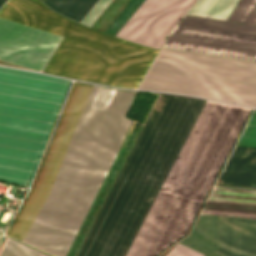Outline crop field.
Wrapping results in <instances>:
<instances>
[{"label": "crop field", "instance_id": "8a807250", "mask_svg": "<svg viewBox=\"0 0 256 256\" xmlns=\"http://www.w3.org/2000/svg\"><path fill=\"white\" fill-rule=\"evenodd\" d=\"M205 100L158 97L76 256H124ZM250 108L205 101L125 256L189 231Z\"/></svg>", "mask_w": 256, "mask_h": 256}, {"label": "crop field", "instance_id": "e52e79f7", "mask_svg": "<svg viewBox=\"0 0 256 256\" xmlns=\"http://www.w3.org/2000/svg\"><path fill=\"white\" fill-rule=\"evenodd\" d=\"M218 217L200 215L193 231L179 243L216 256ZM217 256H256V220L219 217Z\"/></svg>", "mask_w": 256, "mask_h": 256}, {"label": "crop field", "instance_id": "bc2a9ffb", "mask_svg": "<svg viewBox=\"0 0 256 256\" xmlns=\"http://www.w3.org/2000/svg\"><path fill=\"white\" fill-rule=\"evenodd\" d=\"M6 0H1L0 1V7L2 6V4L5 2Z\"/></svg>", "mask_w": 256, "mask_h": 256}, {"label": "crop field", "instance_id": "4a817a6b", "mask_svg": "<svg viewBox=\"0 0 256 256\" xmlns=\"http://www.w3.org/2000/svg\"><path fill=\"white\" fill-rule=\"evenodd\" d=\"M166 256H204L177 244Z\"/></svg>", "mask_w": 256, "mask_h": 256}, {"label": "crop field", "instance_id": "3316defc", "mask_svg": "<svg viewBox=\"0 0 256 256\" xmlns=\"http://www.w3.org/2000/svg\"><path fill=\"white\" fill-rule=\"evenodd\" d=\"M202 213L256 218V191L213 189Z\"/></svg>", "mask_w": 256, "mask_h": 256}, {"label": "crop field", "instance_id": "214f88e0", "mask_svg": "<svg viewBox=\"0 0 256 256\" xmlns=\"http://www.w3.org/2000/svg\"><path fill=\"white\" fill-rule=\"evenodd\" d=\"M1 235V234H0ZM2 236V235H1Z\"/></svg>", "mask_w": 256, "mask_h": 256}, {"label": "crop field", "instance_id": "5a996713", "mask_svg": "<svg viewBox=\"0 0 256 256\" xmlns=\"http://www.w3.org/2000/svg\"><path fill=\"white\" fill-rule=\"evenodd\" d=\"M62 36L0 19V60L43 71Z\"/></svg>", "mask_w": 256, "mask_h": 256}, {"label": "crop field", "instance_id": "5142ce71", "mask_svg": "<svg viewBox=\"0 0 256 256\" xmlns=\"http://www.w3.org/2000/svg\"><path fill=\"white\" fill-rule=\"evenodd\" d=\"M38 252L23 246L17 242L7 239L0 256H36ZM37 256H46L38 253Z\"/></svg>", "mask_w": 256, "mask_h": 256}, {"label": "crop field", "instance_id": "28ad6ade", "mask_svg": "<svg viewBox=\"0 0 256 256\" xmlns=\"http://www.w3.org/2000/svg\"><path fill=\"white\" fill-rule=\"evenodd\" d=\"M216 185L256 186V148L236 146Z\"/></svg>", "mask_w": 256, "mask_h": 256}, {"label": "crop field", "instance_id": "f4fd0767", "mask_svg": "<svg viewBox=\"0 0 256 256\" xmlns=\"http://www.w3.org/2000/svg\"><path fill=\"white\" fill-rule=\"evenodd\" d=\"M139 89L256 106V62L162 48Z\"/></svg>", "mask_w": 256, "mask_h": 256}, {"label": "crop field", "instance_id": "733c2abd", "mask_svg": "<svg viewBox=\"0 0 256 256\" xmlns=\"http://www.w3.org/2000/svg\"><path fill=\"white\" fill-rule=\"evenodd\" d=\"M111 1L112 0H100L81 23L90 27Z\"/></svg>", "mask_w": 256, "mask_h": 256}, {"label": "crop field", "instance_id": "22f410ed", "mask_svg": "<svg viewBox=\"0 0 256 256\" xmlns=\"http://www.w3.org/2000/svg\"><path fill=\"white\" fill-rule=\"evenodd\" d=\"M236 1L200 0L189 15L224 20Z\"/></svg>", "mask_w": 256, "mask_h": 256}, {"label": "crop field", "instance_id": "d1516ede", "mask_svg": "<svg viewBox=\"0 0 256 256\" xmlns=\"http://www.w3.org/2000/svg\"><path fill=\"white\" fill-rule=\"evenodd\" d=\"M98 0H45L43 3L55 12L75 21H81Z\"/></svg>", "mask_w": 256, "mask_h": 256}, {"label": "crop field", "instance_id": "d9b57169", "mask_svg": "<svg viewBox=\"0 0 256 256\" xmlns=\"http://www.w3.org/2000/svg\"><path fill=\"white\" fill-rule=\"evenodd\" d=\"M238 145L256 147V110L254 111Z\"/></svg>", "mask_w": 256, "mask_h": 256}, {"label": "crop field", "instance_id": "cbeb9de0", "mask_svg": "<svg viewBox=\"0 0 256 256\" xmlns=\"http://www.w3.org/2000/svg\"><path fill=\"white\" fill-rule=\"evenodd\" d=\"M225 20L256 25V0H238Z\"/></svg>", "mask_w": 256, "mask_h": 256}, {"label": "crop field", "instance_id": "412701ff", "mask_svg": "<svg viewBox=\"0 0 256 256\" xmlns=\"http://www.w3.org/2000/svg\"><path fill=\"white\" fill-rule=\"evenodd\" d=\"M70 84L0 67V180L28 186Z\"/></svg>", "mask_w": 256, "mask_h": 256}, {"label": "crop field", "instance_id": "ac0d7876", "mask_svg": "<svg viewBox=\"0 0 256 256\" xmlns=\"http://www.w3.org/2000/svg\"><path fill=\"white\" fill-rule=\"evenodd\" d=\"M92 85L76 82L33 187L7 234L24 241L61 164ZM133 94L93 86L51 191L25 242L65 256L127 132Z\"/></svg>", "mask_w": 256, "mask_h": 256}, {"label": "crop field", "instance_id": "d8731c3e", "mask_svg": "<svg viewBox=\"0 0 256 256\" xmlns=\"http://www.w3.org/2000/svg\"><path fill=\"white\" fill-rule=\"evenodd\" d=\"M197 0H145L116 37L160 49Z\"/></svg>", "mask_w": 256, "mask_h": 256}, {"label": "crop field", "instance_id": "dd49c442", "mask_svg": "<svg viewBox=\"0 0 256 256\" xmlns=\"http://www.w3.org/2000/svg\"><path fill=\"white\" fill-rule=\"evenodd\" d=\"M164 46L256 60V26L186 16Z\"/></svg>", "mask_w": 256, "mask_h": 256}, {"label": "crop field", "instance_id": "34b2d1b8", "mask_svg": "<svg viewBox=\"0 0 256 256\" xmlns=\"http://www.w3.org/2000/svg\"><path fill=\"white\" fill-rule=\"evenodd\" d=\"M0 18L64 36L44 73L136 89L158 50L95 31L38 0H8Z\"/></svg>", "mask_w": 256, "mask_h": 256}]
</instances>
